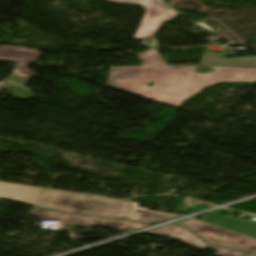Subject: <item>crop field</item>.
<instances>
[{
	"label": "crop field",
	"instance_id": "8a807250",
	"mask_svg": "<svg viewBox=\"0 0 256 256\" xmlns=\"http://www.w3.org/2000/svg\"><path fill=\"white\" fill-rule=\"evenodd\" d=\"M139 59L142 66L111 67L107 85L179 108L183 101L216 83H256L254 68L199 65L215 70L199 74L194 70L197 66H166L156 49ZM150 82L154 84L148 88Z\"/></svg>",
	"mask_w": 256,
	"mask_h": 256
},
{
	"label": "crop field",
	"instance_id": "ac0d7876",
	"mask_svg": "<svg viewBox=\"0 0 256 256\" xmlns=\"http://www.w3.org/2000/svg\"><path fill=\"white\" fill-rule=\"evenodd\" d=\"M128 203L43 189L34 205L65 212L126 219L131 211L127 208Z\"/></svg>",
	"mask_w": 256,
	"mask_h": 256
},
{
	"label": "crop field",
	"instance_id": "34b2d1b8",
	"mask_svg": "<svg viewBox=\"0 0 256 256\" xmlns=\"http://www.w3.org/2000/svg\"><path fill=\"white\" fill-rule=\"evenodd\" d=\"M110 3L143 5L146 15L134 38L137 40L155 38L160 26L179 16V13L160 0H104Z\"/></svg>",
	"mask_w": 256,
	"mask_h": 256
},
{
	"label": "crop field",
	"instance_id": "412701ff",
	"mask_svg": "<svg viewBox=\"0 0 256 256\" xmlns=\"http://www.w3.org/2000/svg\"><path fill=\"white\" fill-rule=\"evenodd\" d=\"M29 213L39 217L41 220H56L63 224L71 225L121 227L124 223L122 220L70 215L35 207H32Z\"/></svg>",
	"mask_w": 256,
	"mask_h": 256
},
{
	"label": "crop field",
	"instance_id": "f4fd0767",
	"mask_svg": "<svg viewBox=\"0 0 256 256\" xmlns=\"http://www.w3.org/2000/svg\"><path fill=\"white\" fill-rule=\"evenodd\" d=\"M40 51L35 49L17 47V46H2L0 48V61L16 62L14 73L26 78L35 77V73L24 68L23 66L40 55Z\"/></svg>",
	"mask_w": 256,
	"mask_h": 256
},
{
	"label": "crop field",
	"instance_id": "dd49c442",
	"mask_svg": "<svg viewBox=\"0 0 256 256\" xmlns=\"http://www.w3.org/2000/svg\"><path fill=\"white\" fill-rule=\"evenodd\" d=\"M202 221L256 238V223H248L210 213Z\"/></svg>",
	"mask_w": 256,
	"mask_h": 256
},
{
	"label": "crop field",
	"instance_id": "e52e79f7",
	"mask_svg": "<svg viewBox=\"0 0 256 256\" xmlns=\"http://www.w3.org/2000/svg\"><path fill=\"white\" fill-rule=\"evenodd\" d=\"M42 189L0 183V197L33 205Z\"/></svg>",
	"mask_w": 256,
	"mask_h": 256
},
{
	"label": "crop field",
	"instance_id": "d8731c3e",
	"mask_svg": "<svg viewBox=\"0 0 256 256\" xmlns=\"http://www.w3.org/2000/svg\"><path fill=\"white\" fill-rule=\"evenodd\" d=\"M177 225L188 228L209 244L213 243L215 240L221 237L219 236L220 233L224 234L225 232H227V230L206 223H202L196 220H186Z\"/></svg>",
	"mask_w": 256,
	"mask_h": 256
},
{
	"label": "crop field",
	"instance_id": "5a996713",
	"mask_svg": "<svg viewBox=\"0 0 256 256\" xmlns=\"http://www.w3.org/2000/svg\"><path fill=\"white\" fill-rule=\"evenodd\" d=\"M214 244L250 253L256 248V239L230 231Z\"/></svg>",
	"mask_w": 256,
	"mask_h": 256
},
{
	"label": "crop field",
	"instance_id": "3316defc",
	"mask_svg": "<svg viewBox=\"0 0 256 256\" xmlns=\"http://www.w3.org/2000/svg\"><path fill=\"white\" fill-rule=\"evenodd\" d=\"M148 234L168 235L170 237L179 239L181 241H184L186 243H189L201 249L209 246L205 244L203 241H201L194 234H192L190 231L174 225L150 231L148 232Z\"/></svg>",
	"mask_w": 256,
	"mask_h": 256
},
{
	"label": "crop field",
	"instance_id": "28ad6ade",
	"mask_svg": "<svg viewBox=\"0 0 256 256\" xmlns=\"http://www.w3.org/2000/svg\"><path fill=\"white\" fill-rule=\"evenodd\" d=\"M201 64L256 67V56L225 58L216 53L205 52Z\"/></svg>",
	"mask_w": 256,
	"mask_h": 256
},
{
	"label": "crop field",
	"instance_id": "d1516ede",
	"mask_svg": "<svg viewBox=\"0 0 256 256\" xmlns=\"http://www.w3.org/2000/svg\"><path fill=\"white\" fill-rule=\"evenodd\" d=\"M172 217H175V216L160 214V213L140 211V210H133L131 212L128 220L143 222V223H150V222H154V221L161 220V219L167 220V219H170Z\"/></svg>",
	"mask_w": 256,
	"mask_h": 256
},
{
	"label": "crop field",
	"instance_id": "22f410ed",
	"mask_svg": "<svg viewBox=\"0 0 256 256\" xmlns=\"http://www.w3.org/2000/svg\"><path fill=\"white\" fill-rule=\"evenodd\" d=\"M210 248L218 251V253L215 254L217 256H256V250L250 255H246L247 253L242 254V253H238V252H234V251H230V250H226V249H222L214 246H211Z\"/></svg>",
	"mask_w": 256,
	"mask_h": 256
},
{
	"label": "crop field",
	"instance_id": "cbeb9de0",
	"mask_svg": "<svg viewBox=\"0 0 256 256\" xmlns=\"http://www.w3.org/2000/svg\"><path fill=\"white\" fill-rule=\"evenodd\" d=\"M144 226H148V225L127 221L123 229L133 231V230H136V229L144 227Z\"/></svg>",
	"mask_w": 256,
	"mask_h": 256
},
{
	"label": "crop field",
	"instance_id": "5142ce71",
	"mask_svg": "<svg viewBox=\"0 0 256 256\" xmlns=\"http://www.w3.org/2000/svg\"><path fill=\"white\" fill-rule=\"evenodd\" d=\"M150 40L152 41L151 44H149V43H148L147 41H145V40H143V41L141 42V44L144 45V46H146V47H148V48H151V47H154V46H157V45H158V42H157L156 39H150Z\"/></svg>",
	"mask_w": 256,
	"mask_h": 256
},
{
	"label": "crop field",
	"instance_id": "d9b57169",
	"mask_svg": "<svg viewBox=\"0 0 256 256\" xmlns=\"http://www.w3.org/2000/svg\"><path fill=\"white\" fill-rule=\"evenodd\" d=\"M3 84V82H0V86Z\"/></svg>",
	"mask_w": 256,
	"mask_h": 256
}]
</instances>
